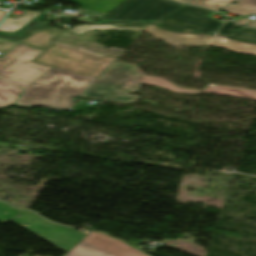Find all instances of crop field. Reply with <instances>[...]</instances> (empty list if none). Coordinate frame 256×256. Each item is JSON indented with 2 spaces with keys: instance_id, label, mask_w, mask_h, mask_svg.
<instances>
[{
  "instance_id": "8a807250",
  "label": "crop field",
  "mask_w": 256,
  "mask_h": 256,
  "mask_svg": "<svg viewBox=\"0 0 256 256\" xmlns=\"http://www.w3.org/2000/svg\"><path fill=\"white\" fill-rule=\"evenodd\" d=\"M140 83L161 86L173 92L191 94L208 93L248 99H256V91H249L225 86L213 85L203 91H189L176 87L163 79L145 76L136 70V66L113 63L97 80H95L80 96L108 99L130 103L140 97L131 96Z\"/></svg>"
},
{
  "instance_id": "ac0d7876",
  "label": "crop field",
  "mask_w": 256,
  "mask_h": 256,
  "mask_svg": "<svg viewBox=\"0 0 256 256\" xmlns=\"http://www.w3.org/2000/svg\"><path fill=\"white\" fill-rule=\"evenodd\" d=\"M95 79L52 68L26 89L20 105L65 109L73 107L71 96H79Z\"/></svg>"
},
{
  "instance_id": "34b2d1b8",
  "label": "crop field",
  "mask_w": 256,
  "mask_h": 256,
  "mask_svg": "<svg viewBox=\"0 0 256 256\" xmlns=\"http://www.w3.org/2000/svg\"><path fill=\"white\" fill-rule=\"evenodd\" d=\"M114 61V58L103 56L98 59L53 44L33 62L97 79Z\"/></svg>"
},
{
  "instance_id": "412701ff",
  "label": "crop field",
  "mask_w": 256,
  "mask_h": 256,
  "mask_svg": "<svg viewBox=\"0 0 256 256\" xmlns=\"http://www.w3.org/2000/svg\"><path fill=\"white\" fill-rule=\"evenodd\" d=\"M181 6L166 0H125L102 18L121 22L152 21Z\"/></svg>"
},
{
  "instance_id": "f4fd0767",
  "label": "crop field",
  "mask_w": 256,
  "mask_h": 256,
  "mask_svg": "<svg viewBox=\"0 0 256 256\" xmlns=\"http://www.w3.org/2000/svg\"><path fill=\"white\" fill-rule=\"evenodd\" d=\"M20 218H14L13 222L68 251L85 235L70 228L49 223L46 220L34 215L28 210L20 214ZM46 226V228L42 226Z\"/></svg>"
},
{
  "instance_id": "dd49c442",
  "label": "crop field",
  "mask_w": 256,
  "mask_h": 256,
  "mask_svg": "<svg viewBox=\"0 0 256 256\" xmlns=\"http://www.w3.org/2000/svg\"><path fill=\"white\" fill-rule=\"evenodd\" d=\"M209 12L200 8L184 6L156 21L161 23L160 26L169 30H191L216 34L223 22L205 16Z\"/></svg>"
},
{
  "instance_id": "e52e79f7",
  "label": "crop field",
  "mask_w": 256,
  "mask_h": 256,
  "mask_svg": "<svg viewBox=\"0 0 256 256\" xmlns=\"http://www.w3.org/2000/svg\"><path fill=\"white\" fill-rule=\"evenodd\" d=\"M65 256H147L110 236L91 232Z\"/></svg>"
},
{
  "instance_id": "d8731c3e",
  "label": "crop field",
  "mask_w": 256,
  "mask_h": 256,
  "mask_svg": "<svg viewBox=\"0 0 256 256\" xmlns=\"http://www.w3.org/2000/svg\"><path fill=\"white\" fill-rule=\"evenodd\" d=\"M41 53L42 51L29 47L0 71V77L26 89L51 69V67L31 63Z\"/></svg>"
},
{
  "instance_id": "5a996713",
  "label": "crop field",
  "mask_w": 256,
  "mask_h": 256,
  "mask_svg": "<svg viewBox=\"0 0 256 256\" xmlns=\"http://www.w3.org/2000/svg\"><path fill=\"white\" fill-rule=\"evenodd\" d=\"M145 32L163 40L172 46L185 45L189 47H195L199 45H206L213 38V36L210 35L166 32L165 30L152 24L149 25Z\"/></svg>"
},
{
  "instance_id": "3316defc",
  "label": "crop field",
  "mask_w": 256,
  "mask_h": 256,
  "mask_svg": "<svg viewBox=\"0 0 256 256\" xmlns=\"http://www.w3.org/2000/svg\"><path fill=\"white\" fill-rule=\"evenodd\" d=\"M210 45L229 49L236 53L256 55V45L232 41L224 36H216L210 43Z\"/></svg>"
},
{
  "instance_id": "28ad6ade",
  "label": "crop field",
  "mask_w": 256,
  "mask_h": 256,
  "mask_svg": "<svg viewBox=\"0 0 256 256\" xmlns=\"http://www.w3.org/2000/svg\"><path fill=\"white\" fill-rule=\"evenodd\" d=\"M149 24H88L70 29L79 34L93 29L114 30V29H129V30H145Z\"/></svg>"
},
{
  "instance_id": "d1516ede",
  "label": "crop field",
  "mask_w": 256,
  "mask_h": 256,
  "mask_svg": "<svg viewBox=\"0 0 256 256\" xmlns=\"http://www.w3.org/2000/svg\"><path fill=\"white\" fill-rule=\"evenodd\" d=\"M22 89L0 79V108L12 105Z\"/></svg>"
},
{
  "instance_id": "22f410ed",
  "label": "crop field",
  "mask_w": 256,
  "mask_h": 256,
  "mask_svg": "<svg viewBox=\"0 0 256 256\" xmlns=\"http://www.w3.org/2000/svg\"><path fill=\"white\" fill-rule=\"evenodd\" d=\"M38 12H27L26 14L19 17V19L6 18L0 27V32L12 33L20 29L28 21L39 15Z\"/></svg>"
},
{
  "instance_id": "cbeb9de0",
  "label": "crop field",
  "mask_w": 256,
  "mask_h": 256,
  "mask_svg": "<svg viewBox=\"0 0 256 256\" xmlns=\"http://www.w3.org/2000/svg\"><path fill=\"white\" fill-rule=\"evenodd\" d=\"M60 33L61 31L58 29L53 30L52 33H37L31 40L26 42L24 45L46 50L49 46H51L54 43L51 41L52 38Z\"/></svg>"
},
{
  "instance_id": "5142ce71",
  "label": "crop field",
  "mask_w": 256,
  "mask_h": 256,
  "mask_svg": "<svg viewBox=\"0 0 256 256\" xmlns=\"http://www.w3.org/2000/svg\"><path fill=\"white\" fill-rule=\"evenodd\" d=\"M237 2L240 4H231L223 10L239 15H248L250 13L256 15V0H238Z\"/></svg>"
},
{
  "instance_id": "d9b57169",
  "label": "crop field",
  "mask_w": 256,
  "mask_h": 256,
  "mask_svg": "<svg viewBox=\"0 0 256 256\" xmlns=\"http://www.w3.org/2000/svg\"><path fill=\"white\" fill-rule=\"evenodd\" d=\"M43 16L44 15L37 16L36 18L31 20L29 23H27L25 26H23L19 31H17L13 34L0 33V36L22 38L23 36L26 35V33L29 31V29L42 28V23H43L42 17Z\"/></svg>"
},
{
  "instance_id": "733c2abd",
  "label": "crop field",
  "mask_w": 256,
  "mask_h": 256,
  "mask_svg": "<svg viewBox=\"0 0 256 256\" xmlns=\"http://www.w3.org/2000/svg\"><path fill=\"white\" fill-rule=\"evenodd\" d=\"M24 209L16 208L6 202L0 201V222L5 224L22 212Z\"/></svg>"
},
{
  "instance_id": "4a817a6b",
  "label": "crop field",
  "mask_w": 256,
  "mask_h": 256,
  "mask_svg": "<svg viewBox=\"0 0 256 256\" xmlns=\"http://www.w3.org/2000/svg\"><path fill=\"white\" fill-rule=\"evenodd\" d=\"M233 0H193L189 4L203 6L211 10H218Z\"/></svg>"
},
{
  "instance_id": "bc2a9ffb",
  "label": "crop field",
  "mask_w": 256,
  "mask_h": 256,
  "mask_svg": "<svg viewBox=\"0 0 256 256\" xmlns=\"http://www.w3.org/2000/svg\"><path fill=\"white\" fill-rule=\"evenodd\" d=\"M228 37L256 43V30L242 28L231 33Z\"/></svg>"
},
{
  "instance_id": "214f88e0",
  "label": "crop field",
  "mask_w": 256,
  "mask_h": 256,
  "mask_svg": "<svg viewBox=\"0 0 256 256\" xmlns=\"http://www.w3.org/2000/svg\"><path fill=\"white\" fill-rule=\"evenodd\" d=\"M28 46L18 44L13 50H11L4 58L0 59V70L22 53Z\"/></svg>"
},
{
  "instance_id": "92a150f3",
  "label": "crop field",
  "mask_w": 256,
  "mask_h": 256,
  "mask_svg": "<svg viewBox=\"0 0 256 256\" xmlns=\"http://www.w3.org/2000/svg\"><path fill=\"white\" fill-rule=\"evenodd\" d=\"M55 28H50V29H39V30H33L31 31L30 33L27 34V36L25 38H23L22 40H16V39H10V38H5V39H8V40H11V41H15V42H19V43H25L26 41H28L29 39L32 38V36L37 33V32H47V31H51ZM4 38V37H2Z\"/></svg>"
},
{
  "instance_id": "dafd665d",
  "label": "crop field",
  "mask_w": 256,
  "mask_h": 256,
  "mask_svg": "<svg viewBox=\"0 0 256 256\" xmlns=\"http://www.w3.org/2000/svg\"><path fill=\"white\" fill-rule=\"evenodd\" d=\"M235 23H233L232 21H228L222 28L221 30L219 31V34H222V35H229L231 32H233V29L236 27L234 26Z\"/></svg>"
},
{
  "instance_id": "00972430",
  "label": "crop field",
  "mask_w": 256,
  "mask_h": 256,
  "mask_svg": "<svg viewBox=\"0 0 256 256\" xmlns=\"http://www.w3.org/2000/svg\"><path fill=\"white\" fill-rule=\"evenodd\" d=\"M79 13L81 14H87V15H93V16H100L102 17L103 15H105L104 13H98V12H92V11H86V10H82Z\"/></svg>"
},
{
  "instance_id": "a9b5d70f",
  "label": "crop field",
  "mask_w": 256,
  "mask_h": 256,
  "mask_svg": "<svg viewBox=\"0 0 256 256\" xmlns=\"http://www.w3.org/2000/svg\"><path fill=\"white\" fill-rule=\"evenodd\" d=\"M249 27H255L256 28V21L251 22L249 25H247Z\"/></svg>"
},
{
  "instance_id": "4177f3b9",
  "label": "crop field",
  "mask_w": 256,
  "mask_h": 256,
  "mask_svg": "<svg viewBox=\"0 0 256 256\" xmlns=\"http://www.w3.org/2000/svg\"><path fill=\"white\" fill-rule=\"evenodd\" d=\"M175 1H179V2H182V3L187 4V3H189V2L192 1V0H175Z\"/></svg>"
},
{
  "instance_id": "730fd06b",
  "label": "crop field",
  "mask_w": 256,
  "mask_h": 256,
  "mask_svg": "<svg viewBox=\"0 0 256 256\" xmlns=\"http://www.w3.org/2000/svg\"><path fill=\"white\" fill-rule=\"evenodd\" d=\"M21 95H22V93L20 94V96H21ZM20 96H19V97L17 98V100L14 102L13 106H17L16 103H17V101L19 100ZM17 107H19V106H17ZM24 108H28V107H24Z\"/></svg>"
},
{
  "instance_id": "eef30255",
  "label": "crop field",
  "mask_w": 256,
  "mask_h": 256,
  "mask_svg": "<svg viewBox=\"0 0 256 256\" xmlns=\"http://www.w3.org/2000/svg\"><path fill=\"white\" fill-rule=\"evenodd\" d=\"M3 14H4V12H1V11H0V18H1V16H2Z\"/></svg>"
}]
</instances>
